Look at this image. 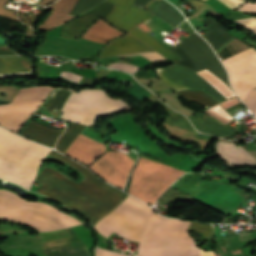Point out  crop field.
I'll use <instances>...</instances> for the list:
<instances>
[{
  "label": "crop field",
  "instance_id": "1",
  "mask_svg": "<svg viewBox=\"0 0 256 256\" xmlns=\"http://www.w3.org/2000/svg\"><path fill=\"white\" fill-rule=\"evenodd\" d=\"M189 224L190 221L163 218L128 195L94 229L106 237L114 231L140 242L138 256H200V249L186 232ZM201 254L214 256V252L203 250Z\"/></svg>",
  "mask_w": 256,
  "mask_h": 256
},
{
  "label": "crop field",
  "instance_id": "2",
  "mask_svg": "<svg viewBox=\"0 0 256 256\" xmlns=\"http://www.w3.org/2000/svg\"><path fill=\"white\" fill-rule=\"evenodd\" d=\"M48 155L68 163L86 178L77 184L54 170L44 168L36 179L43 184L38 192L79 210L93 225L127 196L102 183L88 169L58 152L51 150Z\"/></svg>",
  "mask_w": 256,
  "mask_h": 256
},
{
  "label": "crop field",
  "instance_id": "3",
  "mask_svg": "<svg viewBox=\"0 0 256 256\" xmlns=\"http://www.w3.org/2000/svg\"><path fill=\"white\" fill-rule=\"evenodd\" d=\"M50 149L0 128V178L29 189Z\"/></svg>",
  "mask_w": 256,
  "mask_h": 256
},
{
  "label": "crop field",
  "instance_id": "4",
  "mask_svg": "<svg viewBox=\"0 0 256 256\" xmlns=\"http://www.w3.org/2000/svg\"><path fill=\"white\" fill-rule=\"evenodd\" d=\"M70 216L51 205L24 201L9 191L0 190V219L23 222L40 231H52L81 224Z\"/></svg>",
  "mask_w": 256,
  "mask_h": 256
},
{
  "label": "crop field",
  "instance_id": "5",
  "mask_svg": "<svg viewBox=\"0 0 256 256\" xmlns=\"http://www.w3.org/2000/svg\"><path fill=\"white\" fill-rule=\"evenodd\" d=\"M130 110L121 100L109 98L104 90L86 89L72 91L62 109V118L86 125H92L97 116Z\"/></svg>",
  "mask_w": 256,
  "mask_h": 256
},
{
  "label": "crop field",
  "instance_id": "6",
  "mask_svg": "<svg viewBox=\"0 0 256 256\" xmlns=\"http://www.w3.org/2000/svg\"><path fill=\"white\" fill-rule=\"evenodd\" d=\"M184 172L140 157L128 193L152 203Z\"/></svg>",
  "mask_w": 256,
  "mask_h": 256
},
{
  "label": "crop field",
  "instance_id": "7",
  "mask_svg": "<svg viewBox=\"0 0 256 256\" xmlns=\"http://www.w3.org/2000/svg\"><path fill=\"white\" fill-rule=\"evenodd\" d=\"M52 88L36 86L20 89L8 105H0V125L17 133L22 124L41 105Z\"/></svg>",
  "mask_w": 256,
  "mask_h": 256
},
{
  "label": "crop field",
  "instance_id": "8",
  "mask_svg": "<svg viewBox=\"0 0 256 256\" xmlns=\"http://www.w3.org/2000/svg\"><path fill=\"white\" fill-rule=\"evenodd\" d=\"M222 62L230 75L234 90L244 101L250 90L256 87V50L251 47Z\"/></svg>",
  "mask_w": 256,
  "mask_h": 256
},
{
  "label": "crop field",
  "instance_id": "9",
  "mask_svg": "<svg viewBox=\"0 0 256 256\" xmlns=\"http://www.w3.org/2000/svg\"><path fill=\"white\" fill-rule=\"evenodd\" d=\"M132 164L124 153L108 151L90 168L103 179L123 189Z\"/></svg>",
  "mask_w": 256,
  "mask_h": 256
},
{
  "label": "crop field",
  "instance_id": "10",
  "mask_svg": "<svg viewBox=\"0 0 256 256\" xmlns=\"http://www.w3.org/2000/svg\"><path fill=\"white\" fill-rule=\"evenodd\" d=\"M157 73L160 78L167 81L176 90L201 89L213 96L219 102L225 100V98L208 82L192 71L172 65L164 69H157Z\"/></svg>",
  "mask_w": 256,
  "mask_h": 256
},
{
  "label": "crop field",
  "instance_id": "11",
  "mask_svg": "<svg viewBox=\"0 0 256 256\" xmlns=\"http://www.w3.org/2000/svg\"><path fill=\"white\" fill-rule=\"evenodd\" d=\"M135 0H108L117 5L113 13L106 18L109 22L128 32L136 24L144 21L153 14L142 10L134 5Z\"/></svg>",
  "mask_w": 256,
  "mask_h": 256
},
{
  "label": "crop field",
  "instance_id": "12",
  "mask_svg": "<svg viewBox=\"0 0 256 256\" xmlns=\"http://www.w3.org/2000/svg\"><path fill=\"white\" fill-rule=\"evenodd\" d=\"M113 7L114 5L104 2L93 11L64 24L61 37L78 38L99 16L105 19L112 11Z\"/></svg>",
  "mask_w": 256,
  "mask_h": 256
},
{
  "label": "crop field",
  "instance_id": "13",
  "mask_svg": "<svg viewBox=\"0 0 256 256\" xmlns=\"http://www.w3.org/2000/svg\"><path fill=\"white\" fill-rule=\"evenodd\" d=\"M94 141L80 134L64 153L80 160L84 164L89 165L97 156L105 151V147L103 145Z\"/></svg>",
  "mask_w": 256,
  "mask_h": 256
},
{
  "label": "crop field",
  "instance_id": "14",
  "mask_svg": "<svg viewBox=\"0 0 256 256\" xmlns=\"http://www.w3.org/2000/svg\"><path fill=\"white\" fill-rule=\"evenodd\" d=\"M217 152L225 158L230 165L255 164L256 161L241 146L236 147L231 141H219Z\"/></svg>",
  "mask_w": 256,
  "mask_h": 256
},
{
  "label": "crop field",
  "instance_id": "15",
  "mask_svg": "<svg viewBox=\"0 0 256 256\" xmlns=\"http://www.w3.org/2000/svg\"><path fill=\"white\" fill-rule=\"evenodd\" d=\"M62 132L63 130L48 128L46 126L30 121L21 135L27 136L42 144L54 147L57 138Z\"/></svg>",
  "mask_w": 256,
  "mask_h": 256
},
{
  "label": "crop field",
  "instance_id": "16",
  "mask_svg": "<svg viewBox=\"0 0 256 256\" xmlns=\"http://www.w3.org/2000/svg\"><path fill=\"white\" fill-rule=\"evenodd\" d=\"M78 0H60L53 8V15L39 27V30H51L65 21L75 17L69 16Z\"/></svg>",
  "mask_w": 256,
  "mask_h": 256
},
{
  "label": "crop field",
  "instance_id": "17",
  "mask_svg": "<svg viewBox=\"0 0 256 256\" xmlns=\"http://www.w3.org/2000/svg\"><path fill=\"white\" fill-rule=\"evenodd\" d=\"M121 34L124 33L100 19L93 26H91L80 38L89 39L100 43H107L109 40Z\"/></svg>",
  "mask_w": 256,
  "mask_h": 256
},
{
  "label": "crop field",
  "instance_id": "18",
  "mask_svg": "<svg viewBox=\"0 0 256 256\" xmlns=\"http://www.w3.org/2000/svg\"><path fill=\"white\" fill-rule=\"evenodd\" d=\"M151 50L144 44L127 35L111 42L103 51L101 56L114 55L125 52Z\"/></svg>",
  "mask_w": 256,
  "mask_h": 256
},
{
  "label": "crop field",
  "instance_id": "19",
  "mask_svg": "<svg viewBox=\"0 0 256 256\" xmlns=\"http://www.w3.org/2000/svg\"><path fill=\"white\" fill-rule=\"evenodd\" d=\"M204 22L210 25L207 28L210 32L206 33L203 37L212 45L216 53L223 45L234 38L230 36L225 29L211 17Z\"/></svg>",
  "mask_w": 256,
  "mask_h": 256
},
{
  "label": "crop field",
  "instance_id": "20",
  "mask_svg": "<svg viewBox=\"0 0 256 256\" xmlns=\"http://www.w3.org/2000/svg\"><path fill=\"white\" fill-rule=\"evenodd\" d=\"M33 71L32 60L26 57H0V73Z\"/></svg>",
  "mask_w": 256,
  "mask_h": 256
},
{
  "label": "crop field",
  "instance_id": "21",
  "mask_svg": "<svg viewBox=\"0 0 256 256\" xmlns=\"http://www.w3.org/2000/svg\"><path fill=\"white\" fill-rule=\"evenodd\" d=\"M202 119L203 122L199 129L201 132L212 133L226 138H228L231 134L239 132L205 114L203 115Z\"/></svg>",
  "mask_w": 256,
  "mask_h": 256
},
{
  "label": "crop field",
  "instance_id": "22",
  "mask_svg": "<svg viewBox=\"0 0 256 256\" xmlns=\"http://www.w3.org/2000/svg\"><path fill=\"white\" fill-rule=\"evenodd\" d=\"M130 34L138 38L139 40L143 41L156 51H158L160 54H162L164 57H166L168 60L171 61H177L180 58H178L176 55H174L172 52H170L168 49H166L164 46H162L159 42H157L152 36L146 34L145 32L137 29H133Z\"/></svg>",
  "mask_w": 256,
  "mask_h": 256
},
{
  "label": "crop field",
  "instance_id": "23",
  "mask_svg": "<svg viewBox=\"0 0 256 256\" xmlns=\"http://www.w3.org/2000/svg\"><path fill=\"white\" fill-rule=\"evenodd\" d=\"M70 91V89L57 88L52 97L50 98L47 106L45 105L46 110L51 115L57 117L58 112L62 107L63 103L65 102L66 98L68 97Z\"/></svg>",
  "mask_w": 256,
  "mask_h": 256
},
{
  "label": "crop field",
  "instance_id": "24",
  "mask_svg": "<svg viewBox=\"0 0 256 256\" xmlns=\"http://www.w3.org/2000/svg\"><path fill=\"white\" fill-rule=\"evenodd\" d=\"M84 128L85 126L72 123L58 140L56 149L63 153Z\"/></svg>",
  "mask_w": 256,
  "mask_h": 256
},
{
  "label": "crop field",
  "instance_id": "25",
  "mask_svg": "<svg viewBox=\"0 0 256 256\" xmlns=\"http://www.w3.org/2000/svg\"><path fill=\"white\" fill-rule=\"evenodd\" d=\"M201 77H203L205 80L209 81L212 86H214L216 89H218L223 96L228 99L234 94L232 91L228 88L226 84H224L220 79L215 77L212 73H210L207 69L197 72Z\"/></svg>",
  "mask_w": 256,
  "mask_h": 256
},
{
  "label": "crop field",
  "instance_id": "26",
  "mask_svg": "<svg viewBox=\"0 0 256 256\" xmlns=\"http://www.w3.org/2000/svg\"><path fill=\"white\" fill-rule=\"evenodd\" d=\"M181 95L187 99L194 101L204 107H210L218 102L212 99L210 96L201 91H185L180 92Z\"/></svg>",
  "mask_w": 256,
  "mask_h": 256
},
{
  "label": "crop field",
  "instance_id": "27",
  "mask_svg": "<svg viewBox=\"0 0 256 256\" xmlns=\"http://www.w3.org/2000/svg\"><path fill=\"white\" fill-rule=\"evenodd\" d=\"M52 251H58V254H52ZM44 256H90L85 247L79 248H55L44 250Z\"/></svg>",
  "mask_w": 256,
  "mask_h": 256
},
{
  "label": "crop field",
  "instance_id": "28",
  "mask_svg": "<svg viewBox=\"0 0 256 256\" xmlns=\"http://www.w3.org/2000/svg\"><path fill=\"white\" fill-rule=\"evenodd\" d=\"M165 123L183 128V129L193 132V133L195 132V129L189 123V121L186 119V117H184L183 115L178 114V113H176L175 115L170 117L167 121H165Z\"/></svg>",
  "mask_w": 256,
  "mask_h": 256
},
{
  "label": "crop field",
  "instance_id": "29",
  "mask_svg": "<svg viewBox=\"0 0 256 256\" xmlns=\"http://www.w3.org/2000/svg\"><path fill=\"white\" fill-rule=\"evenodd\" d=\"M105 0H79L76 6L73 8L71 14H81L86 12Z\"/></svg>",
  "mask_w": 256,
  "mask_h": 256
},
{
  "label": "crop field",
  "instance_id": "30",
  "mask_svg": "<svg viewBox=\"0 0 256 256\" xmlns=\"http://www.w3.org/2000/svg\"><path fill=\"white\" fill-rule=\"evenodd\" d=\"M209 114L215 116L218 118L220 121L224 123H229L232 121L231 119L233 118L229 113H227L219 104L209 108L206 110Z\"/></svg>",
  "mask_w": 256,
  "mask_h": 256
},
{
  "label": "crop field",
  "instance_id": "31",
  "mask_svg": "<svg viewBox=\"0 0 256 256\" xmlns=\"http://www.w3.org/2000/svg\"><path fill=\"white\" fill-rule=\"evenodd\" d=\"M213 229H214L213 225H206V224L192 222L188 230L198 232L204 235L207 239H211Z\"/></svg>",
  "mask_w": 256,
  "mask_h": 256
},
{
  "label": "crop field",
  "instance_id": "32",
  "mask_svg": "<svg viewBox=\"0 0 256 256\" xmlns=\"http://www.w3.org/2000/svg\"><path fill=\"white\" fill-rule=\"evenodd\" d=\"M108 67L125 70L132 74L139 69V67L129 64V63H113V64L108 65Z\"/></svg>",
  "mask_w": 256,
  "mask_h": 256
},
{
  "label": "crop field",
  "instance_id": "33",
  "mask_svg": "<svg viewBox=\"0 0 256 256\" xmlns=\"http://www.w3.org/2000/svg\"><path fill=\"white\" fill-rule=\"evenodd\" d=\"M244 103L249 107V109L255 113L256 111V89H252L250 94L245 99Z\"/></svg>",
  "mask_w": 256,
  "mask_h": 256
},
{
  "label": "crop field",
  "instance_id": "34",
  "mask_svg": "<svg viewBox=\"0 0 256 256\" xmlns=\"http://www.w3.org/2000/svg\"><path fill=\"white\" fill-rule=\"evenodd\" d=\"M221 2H223L225 5H227L228 7H230L231 9L235 10L237 8H239L241 5H243L244 3H246L247 1L253 3L256 0H220Z\"/></svg>",
  "mask_w": 256,
  "mask_h": 256
},
{
  "label": "crop field",
  "instance_id": "35",
  "mask_svg": "<svg viewBox=\"0 0 256 256\" xmlns=\"http://www.w3.org/2000/svg\"><path fill=\"white\" fill-rule=\"evenodd\" d=\"M236 22L242 24L243 26L252 30L256 34V18L250 17V18L238 20Z\"/></svg>",
  "mask_w": 256,
  "mask_h": 256
},
{
  "label": "crop field",
  "instance_id": "36",
  "mask_svg": "<svg viewBox=\"0 0 256 256\" xmlns=\"http://www.w3.org/2000/svg\"><path fill=\"white\" fill-rule=\"evenodd\" d=\"M147 59L151 60L152 62L157 61V60H166L162 55H160L157 52H144V53H138ZM132 55H137V54H132ZM132 55H125V56H132Z\"/></svg>",
  "mask_w": 256,
  "mask_h": 256
},
{
  "label": "crop field",
  "instance_id": "37",
  "mask_svg": "<svg viewBox=\"0 0 256 256\" xmlns=\"http://www.w3.org/2000/svg\"><path fill=\"white\" fill-rule=\"evenodd\" d=\"M96 256H126V255L115 253V252H111V251H106V250H102V249L97 248Z\"/></svg>",
  "mask_w": 256,
  "mask_h": 256
},
{
  "label": "crop field",
  "instance_id": "38",
  "mask_svg": "<svg viewBox=\"0 0 256 256\" xmlns=\"http://www.w3.org/2000/svg\"><path fill=\"white\" fill-rule=\"evenodd\" d=\"M60 76L64 77V78H67V79H70V80H73V81H76V82H78L82 78V76H79V75L71 73V72H62Z\"/></svg>",
  "mask_w": 256,
  "mask_h": 256
},
{
  "label": "crop field",
  "instance_id": "39",
  "mask_svg": "<svg viewBox=\"0 0 256 256\" xmlns=\"http://www.w3.org/2000/svg\"><path fill=\"white\" fill-rule=\"evenodd\" d=\"M239 10H242V11H255L256 12V2L253 3V4L247 2L245 5H243L241 8H239Z\"/></svg>",
  "mask_w": 256,
  "mask_h": 256
},
{
  "label": "crop field",
  "instance_id": "40",
  "mask_svg": "<svg viewBox=\"0 0 256 256\" xmlns=\"http://www.w3.org/2000/svg\"><path fill=\"white\" fill-rule=\"evenodd\" d=\"M0 55H16L6 46H0Z\"/></svg>",
  "mask_w": 256,
  "mask_h": 256
},
{
  "label": "crop field",
  "instance_id": "41",
  "mask_svg": "<svg viewBox=\"0 0 256 256\" xmlns=\"http://www.w3.org/2000/svg\"><path fill=\"white\" fill-rule=\"evenodd\" d=\"M150 0H136L134 2V5L140 7V8H144V6L149 2Z\"/></svg>",
  "mask_w": 256,
  "mask_h": 256
},
{
  "label": "crop field",
  "instance_id": "42",
  "mask_svg": "<svg viewBox=\"0 0 256 256\" xmlns=\"http://www.w3.org/2000/svg\"><path fill=\"white\" fill-rule=\"evenodd\" d=\"M31 73V72H28ZM14 74H27V73H14ZM7 75H13V74H0V76H7Z\"/></svg>",
  "mask_w": 256,
  "mask_h": 256
}]
</instances>
